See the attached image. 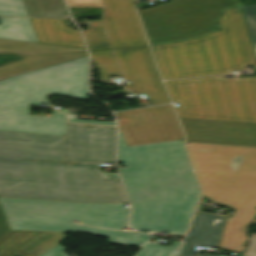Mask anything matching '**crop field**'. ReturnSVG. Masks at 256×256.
I'll list each match as a JSON object with an SVG mask.
<instances>
[{
  "label": "crop field",
  "mask_w": 256,
  "mask_h": 256,
  "mask_svg": "<svg viewBox=\"0 0 256 256\" xmlns=\"http://www.w3.org/2000/svg\"><path fill=\"white\" fill-rule=\"evenodd\" d=\"M126 80L133 92L149 95L151 105L169 103L148 47L115 50Z\"/></svg>",
  "instance_id": "28ad6ade"
},
{
  "label": "crop field",
  "mask_w": 256,
  "mask_h": 256,
  "mask_svg": "<svg viewBox=\"0 0 256 256\" xmlns=\"http://www.w3.org/2000/svg\"><path fill=\"white\" fill-rule=\"evenodd\" d=\"M221 31L151 47L164 79L232 73L256 60L239 7L224 10Z\"/></svg>",
  "instance_id": "f4fd0767"
},
{
  "label": "crop field",
  "mask_w": 256,
  "mask_h": 256,
  "mask_svg": "<svg viewBox=\"0 0 256 256\" xmlns=\"http://www.w3.org/2000/svg\"><path fill=\"white\" fill-rule=\"evenodd\" d=\"M0 16L29 17L23 0H0Z\"/></svg>",
  "instance_id": "dafd665d"
},
{
  "label": "crop field",
  "mask_w": 256,
  "mask_h": 256,
  "mask_svg": "<svg viewBox=\"0 0 256 256\" xmlns=\"http://www.w3.org/2000/svg\"><path fill=\"white\" fill-rule=\"evenodd\" d=\"M243 256H256V234L251 233Z\"/></svg>",
  "instance_id": "4177f3b9"
},
{
  "label": "crop field",
  "mask_w": 256,
  "mask_h": 256,
  "mask_svg": "<svg viewBox=\"0 0 256 256\" xmlns=\"http://www.w3.org/2000/svg\"><path fill=\"white\" fill-rule=\"evenodd\" d=\"M81 51L86 49L0 40V58ZM86 55V53H78L0 59V79Z\"/></svg>",
  "instance_id": "3316defc"
},
{
  "label": "crop field",
  "mask_w": 256,
  "mask_h": 256,
  "mask_svg": "<svg viewBox=\"0 0 256 256\" xmlns=\"http://www.w3.org/2000/svg\"><path fill=\"white\" fill-rule=\"evenodd\" d=\"M91 56L101 80L116 75L122 76L112 50L91 52Z\"/></svg>",
  "instance_id": "bc2a9ffb"
},
{
  "label": "crop field",
  "mask_w": 256,
  "mask_h": 256,
  "mask_svg": "<svg viewBox=\"0 0 256 256\" xmlns=\"http://www.w3.org/2000/svg\"><path fill=\"white\" fill-rule=\"evenodd\" d=\"M0 23V39L39 43L29 19L0 18Z\"/></svg>",
  "instance_id": "d9b57169"
},
{
  "label": "crop field",
  "mask_w": 256,
  "mask_h": 256,
  "mask_svg": "<svg viewBox=\"0 0 256 256\" xmlns=\"http://www.w3.org/2000/svg\"><path fill=\"white\" fill-rule=\"evenodd\" d=\"M9 231L4 215L0 208V238Z\"/></svg>",
  "instance_id": "ae1a2a85"
},
{
  "label": "crop field",
  "mask_w": 256,
  "mask_h": 256,
  "mask_svg": "<svg viewBox=\"0 0 256 256\" xmlns=\"http://www.w3.org/2000/svg\"><path fill=\"white\" fill-rule=\"evenodd\" d=\"M180 117L256 123V77L224 76L165 82Z\"/></svg>",
  "instance_id": "e52e79f7"
},
{
  "label": "crop field",
  "mask_w": 256,
  "mask_h": 256,
  "mask_svg": "<svg viewBox=\"0 0 256 256\" xmlns=\"http://www.w3.org/2000/svg\"><path fill=\"white\" fill-rule=\"evenodd\" d=\"M242 8L256 51V5L242 6Z\"/></svg>",
  "instance_id": "00972430"
},
{
  "label": "crop field",
  "mask_w": 256,
  "mask_h": 256,
  "mask_svg": "<svg viewBox=\"0 0 256 256\" xmlns=\"http://www.w3.org/2000/svg\"><path fill=\"white\" fill-rule=\"evenodd\" d=\"M239 4V0H172L139 12L153 44L216 31L220 11Z\"/></svg>",
  "instance_id": "d8731c3e"
},
{
  "label": "crop field",
  "mask_w": 256,
  "mask_h": 256,
  "mask_svg": "<svg viewBox=\"0 0 256 256\" xmlns=\"http://www.w3.org/2000/svg\"><path fill=\"white\" fill-rule=\"evenodd\" d=\"M87 25L89 30L83 33L90 50L111 48L101 21Z\"/></svg>",
  "instance_id": "214f88e0"
},
{
  "label": "crop field",
  "mask_w": 256,
  "mask_h": 256,
  "mask_svg": "<svg viewBox=\"0 0 256 256\" xmlns=\"http://www.w3.org/2000/svg\"><path fill=\"white\" fill-rule=\"evenodd\" d=\"M154 243L155 242H149L140 248L134 256H176L177 253L173 252L178 251L181 246V242L176 241H172L170 246Z\"/></svg>",
  "instance_id": "92a150f3"
},
{
  "label": "crop field",
  "mask_w": 256,
  "mask_h": 256,
  "mask_svg": "<svg viewBox=\"0 0 256 256\" xmlns=\"http://www.w3.org/2000/svg\"><path fill=\"white\" fill-rule=\"evenodd\" d=\"M0 204L11 230L87 232L109 238L108 242L139 246L149 235L134 232H118L79 226L70 223L80 221L84 225L119 230L126 227L129 209L125 204H91L26 200L0 197Z\"/></svg>",
  "instance_id": "dd49c442"
},
{
  "label": "crop field",
  "mask_w": 256,
  "mask_h": 256,
  "mask_svg": "<svg viewBox=\"0 0 256 256\" xmlns=\"http://www.w3.org/2000/svg\"><path fill=\"white\" fill-rule=\"evenodd\" d=\"M119 171L138 231L184 236L200 190L182 140L127 147L119 129Z\"/></svg>",
  "instance_id": "ac0d7876"
},
{
  "label": "crop field",
  "mask_w": 256,
  "mask_h": 256,
  "mask_svg": "<svg viewBox=\"0 0 256 256\" xmlns=\"http://www.w3.org/2000/svg\"><path fill=\"white\" fill-rule=\"evenodd\" d=\"M89 59L79 58L0 81V130L66 135V114L29 115V105L47 104V94L88 99Z\"/></svg>",
  "instance_id": "412701ff"
},
{
  "label": "crop field",
  "mask_w": 256,
  "mask_h": 256,
  "mask_svg": "<svg viewBox=\"0 0 256 256\" xmlns=\"http://www.w3.org/2000/svg\"><path fill=\"white\" fill-rule=\"evenodd\" d=\"M30 17H69L63 0H24Z\"/></svg>",
  "instance_id": "733c2abd"
},
{
  "label": "crop field",
  "mask_w": 256,
  "mask_h": 256,
  "mask_svg": "<svg viewBox=\"0 0 256 256\" xmlns=\"http://www.w3.org/2000/svg\"><path fill=\"white\" fill-rule=\"evenodd\" d=\"M115 127L68 124L67 136L0 131V196L91 203H127L119 180H103L114 163Z\"/></svg>",
  "instance_id": "8a807250"
},
{
  "label": "crop field",
  "mask_w": 256,
  "mask_h": 256,
  "mask_svg": "<svg viewBox=\"0 0 256 256\" xmlns=\"http://www.w3.org/2000/svg\"><path fill=\"white\" fill-rule=\"evenodd\" d=\"M128 146L184 139L172 106L116 113Z\"/></svg>",
  "instance_id": "5a996713"
},
{
  "label": "crop field",
  "mask_w": 256,
  "mask_h": 256,
  "mask_svg": "<svg viewBox=\"0 0 256 256\" xmlns=\"http://www.w3.org/2000/svg\"><path fill=\"white\" fill-rule=\"evenodd\" d=\"M180 119L187 142L256 147V124Z\"/></svg>",
  "instance_id": "d1516ede"
},
{
  "label": "crop field",
  "mask_w": 256,
  "mask_h": 256,
  "mask_svg": "<svg viewBox=\"0 0 256 256\" xmlns=\"http://www.w3.org/2000/svg\"><path fill=\"white\" fill-rule=\"evenodd\" d=\"M66 238L64 233L44 232L11 256H38Z\"/></svg>",
  "instance_id": "4a817a6b"
},
{
  "label": "crop field",
  "mask_w": 256,
  "mask_h": 256,
  "mask_svg": "<svg viewBox=\"0 0 256 256\" xmlns=\"http://www.w3.org/2000/svg\"><path fill=\"white\" fill-rule=\"evenodd\" d=\"M104 23L114 48L148 45L132 0H103Z\"/></svg>",
  "instance_id": "22f410ed"
},
{
  "label": "crop field",
  "mask_w": 256,
  "mask_h": 256,
  "mask_svg": "<svg viewBox=\"0 0 256 256\" xmlns=\"http://www.w3.org/2000/svg\"><path fill=\"white\" fill-rule=\"evenodd\" d=\"M40 43L85 48L80 33L62 20L30 19Z\"/></svg>",
  "instance_id": "5142ce71"
},
{
  "label": "crop field",
  "mask_w": 256,
  "mask_h": 256,
  "mask_svg": "<svg viewBox=\"0 0 256 256\" xmlns=\"http://www.w3.org/2000/svg\"><path fill=\"white\" fill-rule=\"evenodd\" d=\"M203 194L236 210L221 250L244 253L256 213V148L187 143Z\"/></svg>",
  "instance_id": "34b2d1b8"
},
{
  "label": "crop field",
  "mask_w": 256,
  "mask_h": 256,
  "mask_svg": "<svg viewBox=\"0 0 256 256\" xmlns=\"http://www.w3.org/2000/svg\"><path fill=\"white\" fill-rule=\"evenodd\" d=\"M70 122H78V123H93V124H108V125H116L115 123L111 122H101V121H92V120H82L77 119L75 115H69Z\"/></svg>",
  "instance_id": "eef30255"
},
{
  "label": "crop field",
  "mask_w": 256,
  "mask_h": 256,
  "mask_svg": "<svg viewBox=\"0 0 256 256\" xmlns=\"http://www.w3.org/2000/svg\"><path fill=\"white\" fill-rule=\"evenodd\" d=\"M70 7H102L100 0H67Z\"/></svg>",
  "instance_id": "a9b5d70f"
},
{
  "label": "crop field",
  "mask_w": 256,
  "mask_h": 256,
  "mask_svg": "<svg viewBox=\"0 0 256 256\" xmlns=\"http://www.w3.org/2000/svg\"><path fill=\"white\" fill-rule=\"evenodd\" d=\"M225 217L197 212L180 256H191L195 246L217 248Z\"/></svg>",
  "instance_id": "cbeb9de0"
},
{
  "label": "crop field",
  "mask_w": 256,
  "mask_h": 256,
  "mask_svg": "<svg viewBox=\"0 0 256 256\" xmlns=\"http://www.w3.org/2000/svg\"><path fill=\"white\" fill-rule=\"evenodd\" d=\"M104 179H119L117 173L102 172Z\"/></svg>",
  "instance_id": "d3111659"
},
{
  "label": "crop field",
  "mask_w": 256,
  "mask_h": 256,
  "mask_svg": "<svg viewBox=\"0 0 256 256\" xmlns=\"http://www.w3.org/2000/svg\"><path fill=\"white\" fill-rule=\"evenodd\" d=\"M65 250L66 249L57 244L54 247L47 250L46 252H44L43 254H41L40 256H67L66 254L63 253V251Z\"/></svg>",
  "instance_id": "730fd06b"
},
{
  "label": "crop field",
  "mask_w": 256,
  "mask_h": 256,
  "mask_svg": "<svg viewBox=\"0 0 256 256\" xmlns=\"http://www.w3.org/2000/svg\"><path fill=\"white\" fill-rule=\"evenodd\" d=\"M203 256H209V255H203Z\"/></svg>",
  "instance_id": "750c4746"
}]
</instances>
